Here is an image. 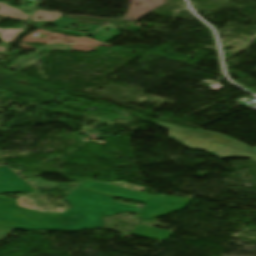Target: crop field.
<instances>
[{
    "label": "crop field",
    "instance_id": "8a807250",
    "mask_svg": "<svg viewBox=\"0 0 256 256\" xmlns=\"http://www.w3.org/2000/svg\"><path fill=\"white\" fill-rule=\"evenodd\" d=\"M112 196L77 188L64 200L72 209L54 214L48 229L82 230L102 228V216L124 211L139 212L138 207L112 201Z\"/></svg>",
    "mask_w": 256,
    "mask_h": 256
},
{
    "label": "crop field",
    "instance_id": "ac0d7876",
    "mask_svg": "<svg viewBox=\"0 0 256 256\" xmlns=\"http://www.w3.org/2000/svg\"><path fill=\"white\" fill-rule=\"evenodd\" d=\"M169 134L172 135L170 137L171 139L179 141L184 146L189 147L191 149L206 150L219 159H223L227 157H244V158H249L256 163V154L235 149V148L218 144L215 142H211L205 139H201V138L188 135L182 132L174 131L171 129H169ZM173 136H178V137H173Z\"/></svg>",
    "mask_w": 256,
    "mask_h": 256
},
{
    "label": "crop field",
    "instance_id": "34b2d1b8",
    "mask_svg": "<svg viewBox=\"0 0 256 256\" xmlns=\"http://www.w3.org/2000/svg\"><path fill=\"white\" fill-rule=\"evenodd\" d=\"M154 124H158V125L165 126V127H168V128L176 129V130L183 131V132H186V133H189V134H193V135H196V136H199V137H202V138H206V139H209V140H212V141H216V142H219V143H223V144H226V145H230V146H233V147H236V148H240V149H243V150H247V151L256 153V151L253 150L251 147H249V146H247V145H245V144H243V143H241V142H239L235 139L225 137V136H223L219 133H216V132H211V131H206V130H197V129H185V128L173 126V125L158 122V121L154 122Z\"/></svg>",
    "mask_w": 256,
    "mask_h": 256
},
{
    "label": "crop field",
    "instance_id": "412701ff",
    "mask_svg": "<svg viewBox=\"0 0 256 256\" xmlns=\"http://www.w3.org/2000/svg\"><path fill=\"white\" fill-rule=\"evenodd\" d=\"M0 192H37L6 166L0 167Z\"/></svg>",
    "mask_w": 256,
    "mask_h": 256
},
{
    "label": "crop field",
    "instance_id": "f4fd0767",
    "mask_svg": "<svg viewBox=\"0 0 256 256\" xmlns=\"http://www.w3.org/2000/svg\"><path fill=\"white\" fill-rule=\"evenodd\" d=\"M52 24L56 25L57 27H63V28H72L71 24H73V25H81V26L88 27V29L76 28L78 30L89 31L88 33L82 32V31H77V30H72L74 28H72V29L57 28L56 29L57 31H61V32H65V33H70V34H74V35H78V36L88 35V34L94 32L96 29L99 28L98 26H90V25H84V24H77V21L66 19L64 17H62L61 19L53 22ZM68 30H71V31H68Z\"/></svg>",
    "mask_w": 256,
    "mask_h": 256
},
{
    "label": "crop field",
    "instance_id": "dd49c442",
    "mask_svg": "<svg viewBox=\"0 0 256 256\" xmlns=\"http://www.w3.org/2000/svg\"><path fill=\"white\" fill-rule=\"evenodd\" d=\"M15 14L17 16H15ZM0 15L10 17V18L23 19V20H27L29 17L28 14H25L14 7H9L7 4H3V3H0Z\"/></svg>",
    "mask_w": 256,
    "mask_h": 256
},
{
    "label": "crop field",
    "instance_id": "e52e79f7",
    "mask_svg": "<svg viewBox=\"0 0 256 256\" xmlns=\"http://www.w3.org/2000/svg\"><path fill=\"white\" fill-rule=\"evenodd\" d=\"M105 29H110L108 31H104ZM120 34V32H118V30L112 29L110 27H104L102 28L100 31H98L97 33H95L93 35V39L100 41V42H107L109 39L112 40L114 39L116 36H118ZM99 36H102L106 39H103Z\"/></svg>",
    "mask_w": 256,
    "mask_h": 256
},
{
    "label": "crop field",
    "instance_id": "d8731c3e",
    "mask_svg": "<svg viewBox=\"0 0 256 256\" xmlns=\"http://www.w3.org/2000/svg\"><path fill=\"white\" fill-rule=\"evenodd\" d=\"M62 13L58 12H48V11H43V10H37L35 14L32 17V21H47V22H52L60 17H62ZM36 17H41L43 18L42 20H36Z\"/></svg>",
    "mask_w": 256,
    "mask_h": 256
},
{
    "label": "crop field",
    "instance_id": "5a996713",
    "mask_svg": "<svg viewBox=\"0 0 256 256\" xmlns=\"http://www.w3.org/2000/svg\"><path fill=\"white\" fill-rule=\"evenodd\" d=\"M25 29L23 28H20L19 30H15V29H12V30H9V29H5V30H1L0 29V38L4 41H7L9 43L13 42L14 39L17 36L18 33H20L21 31H23Z\"/></svg>",
    "mask_w": 256,
    "mask_h": 256
},
{
    "label": "crop field",
    "instance_id": "3316defc",
    "mask_svg": "<svg viewBox=\"0 0 256 256\" xmlns=\"http://www.w3.org/2000/svg\"><path fill=\"white\" fill-rule=\"evenodd\" d=\"M5 49L3 47H0V51H4Z\"/></svg>",
    "mask_w": 256,
    "mask_h": 256
}]
</instances>
